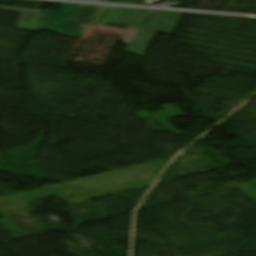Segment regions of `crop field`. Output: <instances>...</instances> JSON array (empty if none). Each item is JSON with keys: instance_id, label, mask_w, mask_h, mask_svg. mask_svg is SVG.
I'll list each match as a JSON object with an SVG mask.
<instances>
[{"instance_id": "1", "label": "crop field", "mask_w": 256, "mask_h": 256, "mask_svg": "<svg viewBox=\"0 0 256 256\" xmlns=\"http://www.w3.org/2000/svg\"><path fill=\"white\" fill-rule=\"evenodd\" d=\"M182 13L114 7L106 19L108 24L129 25L122 37L129 45L126 52L143 56L156 32L172 34ZM150 18L147 25H143Z\"/></svg>"}, {"instance_id": "2", "label": "crop field", "mask_w": 256, "mask_h": 256, "mask_svg": "<svg viewBox=\"0 0 256 256\" xmlns=\"http://www.w3.org/2000/svg\"><path fill=\"white\" fill-rule=\"evenodd\" d=\"M96 6L81 5L77 15L72 14L62 35L81 38Z\"/></svg>"}, {"instance_id": "3", "label": "crop field", "mask_w": 256, "mask_h": 256, "mask_svg": "<svg viewBox=\"0 0 256 256\" xmlns=\"http://www.w3.org/2000/svg\"><path fill=\"white\" fill-rule=\"evenodd\" d=\"M0 9L22 11L16 28L32 30V31L36 30V27L42 12L38 10H29V9H20V8H11V7H2V6H0Z\"/></svg>"}, {"instance_id": "4", "label": "crop field", "mask_w": 256, "mask_h": 256, "mask_svg": "<svg viewBox=\"0 0 256 256\" xmlns=\"http://www.w3.org/2000/svg\"><path fill=\"white\" fill-rule=\"evenodd\" d=\"M111 9L112 7L98 6L89 25L101 26L107 18L108 14L110 13Z\"/></svg>"}, {"instance_id": "5", "label": "crop field", "mask_w": 256, "mask_h": 256, "mask_svg": "<svg viewBox=\"0 0 256 256\" xmlns=\"http://www.w3.org/2000/svg\"><path fill=\"white\" fill-rule=\"evenodd\" d=\"M145 0H117L116 3L143 5Z\"/></svg>"}]
</instances>
